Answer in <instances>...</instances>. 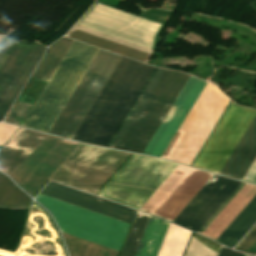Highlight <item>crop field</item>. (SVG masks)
I'll return each mask as SVG.
<instances>
[{
    "mask_svg": "<svg viewBox=\"0 0 256 256\" xmlns=\"http://www.w3.org/2000/svg\"><path fill=\"white\" fill-rule=\"evenodd\" d=\"M154 70L121 57L72 139L107 146Z\"/></svg>",
    "mask_w": 256,
    "mask_h": 256,
    "instance_id": "obj_1",
    "label": "crop field"
},
{
    "mask_svg": "<svg viewBox=\"0 0 256 256\" xmlns=\"http://www.w3.org/2000/svg\"><path fill=\"white\" fill-rule=\"evenodd\" d=\"M256 110L232 102L193 167L219 174ZM256 159V116L223 167L220 174L243 180Z\"/></svg>",
    "mask_w": 256,
    "mask_h": 256,
    "instance_id": "obj_2",
    "label": "crop field"
},
{
    "mask_svg": "<svg viewBox=\"0 0 256 256\" xmlns=\"http://www.w3.org/2000/svg\"><path fill=\"white\" fill-rule=\"evenodd\" d=\"M188 78L157 69L110 147L142 153Z\"/></svg>",
    "mask_w": 256,
    "mask_h": 256,
    "instance_id": "obj_3",
    "label": "crop field"
},
{
    "mask_svg": "<svg viewBox=\"0 0 256 256\" xmlns=\"http://www.w3.org/2000/svg\"><path fill=\"white\" fill-rule=\"evenodd\" d=\"M98 50L73 41L22 126L48 132Z\"/></svg>",
    "mask_w": 256,
    "mask_h": 256,
    "instance_id": "obj_4",
    "label": "crop field"
},
{
    "mask_svg": "<svg viewBox=\"0 0 256 256\" xmlns=\"http://www.w3.org/2000/svg\"><path fill=\"white\" fill-rule=\"evenodd\" d=\"M229 101L207 83L162 158L190 165Z\"/></svg>",
    "mask_w": 256,
    "mask_h": 256,
    "instance_id": "obj_5",
    "label": "crop field"
},
{
    "mask_svg": "<svg viewBox=\"0 0 256 256\" xmlns=\"http://www.w3.org/2000/svg\"><path fill=\"white\" fill-rule=\"evenodd\" d=\"M36 199L53 213L61 231L120 250L129 224L40 194Z\"/></svg>",
    "mask_w": 256,
    "mask_h": 256,
    "instance_id": "obj_6",
    "label": "crop field"
},
{
    "mask_svg": "<svg viewBox=\"0 0 256 256\" xmlns=\"http://www.w3.org/2000/svg\"><path fill=\"white\" fill-rule=\"evenodd\" d=\"M161 161L163 160L133 154L102 189L108 192L105 198L139 210L177 166L163 161L172 165L167 173L163 175L153 171Z\"/></svg>",
    "mask_w": 256,
    "mask_h": 256,
    "instance_id": "obj_7",
    "label": "crop field"
},
{
    "mask_svg": "<svg viewBox=\"0 0 256 256\" xmlns=\"http://www.w3.org/2000/svg\"><path fill=\"white\" fill-rule=\"evenodd\" d=\"M120 56L100 50L75 92L49 131L71 138Z\"/></svg>",
    "mask_w": 256,
    "mask_h": 256,
    "instance_id": "obj_8",
    "label": "crop field"
},
{
    "mask_svg": "<svg viewBox=\"0 0 256 256\" xmlns=\"http://www.w3.org/2000/svg\"><path fill=\"white\" fill-rule=\"evenodd\" d=\"M212 176L178 165L140 211L172 222Z\"/></svg>",
    "mask_w": 256,
    "mask_h": 256,
    "instance_id": "obj_9",
    "label": "crop field"
},
{
    "mask_svg": "<svg viewBox=\"0 0 256 256\" xmlns=\"http://www.w3.org/2000/svg\"><path fill=\"white\" fill-rule=\"evenodd\" d=\"M78 23L150 49L163 28V25L96 3Z\"/></svg>",
    "mask_w": 256,
    "mask_h": 256,
    "instance_id": "obj_10",
    "label": "crop field"
},
{
    "mask_svg": "<svg viewBox=\"0 0 256 256\" xmlns=\"http://www.w3.org/2000/svg\"><path fill=\"white\" fill-rule=\"evenodd\" d=\"M46 47L33 43H16L0 68V121L4 118L15 98L33 72Z\"/></svg>",
    "mask_w": 256,
    "mask_h": 256,
    "instance_id": "obj_11",
    "label": "crop field"
},
{
    "mask_svg": "<svg viewBox=\"0 0 256 256\" xmlns=\"http://www.w3.org/2000/svg\"><path fill=\"white\" fill-rule=\"evenodd\" d=\"M240 184L214 175L173 223L198 233Z\"/></svg>",
    "mask_w": 256,
    "mask_h": 256,
    "instance_id": "obj_12",
    "label": "crop field"
},
{
    "mask_svg": "<svg viewBox=\"0 0 256 256\" xmlns=\"http://www.w3.org/2000/svg\"><path fill=\"white\" fill-rule=\"evenodd\" d=\"M206 82L190 76L164 121L143 151L144 154L161 157Z\"/></svg>",
    "mask_w": 256,
    "mask_h": 256,
    "instance_id": "obj_13",
    "label": "crop field"
},
{
    "mask_svg": "<svg viewBox=\"0 0 256 256\" xmlns=\"http://www.w3.org/2000/svg\"><path fill=\"white\" fill-rule=\"evenodd\" d=\"M40 194L85 208L87 210L131 223L134 210L102 198L72 189L70 187L49 182Z\"/></svg>",
    "mask_w": 256,
    "mask_h": 256,
    "instance_id": "obj_14",
    "label": "crop field"
},
{
    "mask_svg": "<svg viewBox=\"0 0 256 256\" xmlns=\"http://www.w3.org/2000/svg\"><path fill=\"white\" fill-rule=\"evenodd\" d=\"M66 36L107 49L109 51L147 62L152 50L76 24Z\"/></svg>",
    "mask_w": 256,
    "mask_h": 256,
    "instance_id": "obj_15",
    "label": "crop field"
},
{
    "mask_svg": "<svg viewBox=\"0 0 256 256\" xmlns=\"http://www.w3.org/2000/svg\"><path fill=\"white\" fill-rule=\"evenodd\" d=\"M45 136L20 128L0 150V165L10 167L6 173L11 175Z\"/></svg>",
    "mask_w": 256,
    "mask_h": 256,
    "instance_id": "obj_16",
    "label": "crop field"
},
{
    "mask_svg": "<svg viewBox=\"0 0 256 256\" xmlns=\"http://www.w3.org/2000/svg\"><path fill=\"white\" fill-rule=\"evenodd\" d=\"M256 222V195L221 233L216 241L233 248Z\"/></svg>",
    "mask_w": 256,
    "mask_h": 256,
    "instance_id": "obj_17",
    "label": "crop field"
},
{
    "mask_svg": "<svg viewBox=\"0 0 256 256\" xmlns=\"http://www.w3.org/2000/svg\"><path fill=\"white\" fill-rule=\"evenodd\" d=\"M168 224L150 216L135 256H156Z\"/></svg>",
    "mask_w": 256,
    "mask_h": 256,
    "instance_id": "obj_18",
    "label": "crop field"
},
{
    "mask_svg": "<svg viewBox=\"0 0 256 256\" xmlns=\"http://www.w3.org/2000/svg\"><path fill=\"white\" fill-rule=\"evenodd\" d=\"M190 233L170 223L157 256H182Z\"/></svg>",
    "mask_w": 256,
    "mask_h": 256,
    "instance_id": "obj_19",
    "label": "crop field"
},
{
    "mask_svg": "<svg viewBox=\"0 0 256 256\" xmlns=\"http://www.w3.org/2000/svg\"><path fill=\"white\" fill-rule=\"evenodd\" d=\"M71 43L72 40L66 37H63L54 43L39 69L35 73L34 78L48 81Z\"/></svg>",
    "mask_w": 256,
    "mask_h": 256,
    "instance_id": "obj_20",
    "label": "crop field"
},
{
    "mask_svg": "<svg viewBox=\"0 0 256 256\" xmlns=\"http://www.w3.org/2000/svg\"><path fill=\"white\" fill-rule=\"evenodd\" d=\"M31 199L0 173V206L25 208Z\"/></svg>",
    "mask_w": 256,
    "mask_h": 256,
    "instance_id": "obj_21",
    "label": "crop field"
},
{
    "mask_svg": "<svg viewBox=\"0 0 256 256\" xmlns=\"http://www.w3.org/2000/svg\"><path fill=\"white\" fill-rule=\"evenodd\" d=\"M148 217V215L137 213L121 256H134Z\"/></svg>",
    "mask_w": 256,
    "mask_h": 256,
    "instance_id": "obj_22",
    "label": "crop field"
},
{
    "mask_svg": "<svg viewBox=\"0 0 256 256\" xmlns=\"http://www.w3.org/2000/svg\"><path fill=\"white\" fill-rule=\"evenodd\" d=\"M31 108H32V105L18 102L13 112L7 119V122L21 125V123L23 122V120L25 119L26 115L28 114Z\"/></svg>",
    "mask_w": 256,
    "mask_h": 256,
    "instance_id": "obj_23",
    "label": "crop field"
},
{
    "mask_svg": "<svg viewBox=\"0 0 256 256\" xmlns=\"http://www.w3.org/2000/svg\"><path fill=\"white\" fill-rule=\"evenodd\" d=\"M200 247H201V243L196 239L191 238V241L189 243L185 256H198ZM199 256H217V253L209 250L204 245H202Z\"/></svg>",
    "mask_w": 256,
    "mask_h": 256,
    "instance_id": "obj_24",
    "label": "crop field"
},
{
    "mask_svg": "<svg viewBox=\"0 0 256 256\" xmlns=\"http://www.w3.org/2000/svg\"><path fill=\"white\" fill-rule=\"evenodd\" d=\"M15 43L16 42L9 40L5 37L2 40V42L0 44V67L3 64V62L5 61L6 57L10 53V51L12 50Z\"/></svg>",
    "mask_w": 256,
    "mask_h": 256,
    "instance_id": "obj_25",
    "label": "crop field"
},
{
    "mask_svg": "<svg viewBox=\"0 0 256 256\" xmlns=\"http://www.w3.org/2000/svg\"><path fill=\"white\" fill-rule=\"evenodd\" d=\"M17 129L18 127L0 123V145H3Z\"/></svg>",
    "mask_w": 256,
    "mask_h": 256,
    "instance_id": "obj_26",
    "label": "crop field"
},
{
    "mask_svg": "<svg viewBox=\"0 0 256 256\" xmlns=\"http://www.w3.org/2000/svg\"><path fill=\"white\" fill-rule=\"evenodd\" d=\"M255 241H256V227L241 242V244L238 246V248L248 250ZM249 250L256 252V242L252 245V247Z\"/></svg>",
    "mask_w": 256,
    "mask_h": 256,
    "instance_id": "obj_27",
    "label": "crop field"
},
{
    "mask_svg": "<svg viewBox=\"0 0 256 256\" xmlns=\"http://www.w3.org/2000/svg\"><path fill=\"white\" fill-rule=\"evenodd\" d=\"M244 180H248V181L256 183V160H255L254 164L252 165V167L250 168L247 175L245 176Z\"/></svg>",
    "mask_w": 256,
    "mask_h": 256,
    "instance_id": "obj_28",
    "label": "crop field"
},
{
    "mask_svg": "<svg viewBox=\"0 0 256 256\" xmlns=\"http://www.w3.org/2000/svg\"><path fill=\"white\" fill-rule=\"evenodd\" d=\"M244 185L242 183L239 188L232 194V196L224 203V205L217 211V213L209 220V222L202 228V230L199 232L201 234L204 229L211 223V221L219 214V212L226 206V204L234 197V195L241 189V187Z\"/></svg>",
    "mask_w": 256,
    "mask_h": 256,
    "instance_id": "obj_29",
    "label": "crop field"
},
{
    "mask_svg": "<svg viewBox=\"0 0 256 256\" xmlns=\"http://www.w3.org/2000/svg\"><path fill=\"white\" fill-rule=\"evenodd\" d=\"M243 254L234 252L224 246H221L218 256H242Z\"/></svg>",
    "mask_w": 256,
    "mask_h": 256,
    "instance_id": "obj_30",
    "label": "crop field"
},
{
    "mask_svg": "<svg viewBox=\"0 0 256 256\" xmlns=\"http://www.w3.org/2000/svg\"><path fill=\"white\" fill-rule=\"evenodd\" d=\"M243 256H249V255H245V254H244Z\"/></svg>",
    "mask_w": 256,
    "mask_h": 256,
    "instance_id": "obj_31",
    "label": "crop field"
},
{
    "mask_svg": "<svg viewBox=\"0 0 256 256\" xmlns=\"http://www.w3.org/2000/svg\"><path fill=\"white\" fill-rule=\"evenodd\" d=\"M2 147H0V149H1Z\"/></svg>",
    "mask_w": 256,
    "mask_h": 256,
    "instance_id": "obj_32",
    "label": "crop field"
}]
</instances>
